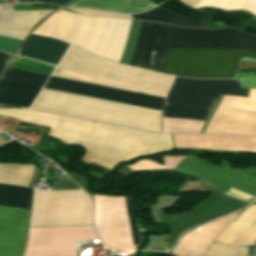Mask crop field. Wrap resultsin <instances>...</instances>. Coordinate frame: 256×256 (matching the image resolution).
<instances>
[{
	"label": "crop field",
	"mask_w": 256,
	"mask_h": 256,
	"mask_svg": "<svg viewBox=\"0 0 256 256\" xmlns=\"http://www.w3.org/2000/svg\"><path fill=\"white\" fill-rule=\"evenodd\" d=\"M0 115L52 127L48 135L67 145H83L87 153L82 161L89 165L95 162L111 170L119 163L139 155L173 150L169 134L126 129L21 109L0 108Z\"/></svg>",
	"instance_id": "obj_1"
},
{
	"label": "crop field",
	"mask_w": 256,
	"mask_h": 256,
	"mask_svg": "<svg viewBox=\"0 0 256 256\" xmlns=\"http://www.w3.org/2000/svg\"><path fill=\"white\" fill-rule=\"evenodd\" d=\"M170 28L167 24L142 21L128 65L160 72ZM167 48L256 49V36L230 28L172 26Z\"/></svg>",
	"instance_id": "obj_2"
},
{
	"label": "crop field",
	"mask_w": 256,
	"mask_h": 256,
	"mask_svg": "<svg viewBox=\"0 0 256 256\" xmlns=\"http://www.w3.org/2000/svg\"><path fill=\"white\" fill-rule=\"evenodd\" d=\"M53 75L138 93L142 91L144 94L163 98L175 78L122 66L87 54L73 46H70Z\"/></svg>",
	"instance_id": "obj_3"
},
{
	"label": "crop field",
	"mask_w": 256,
	"mask_h": 256,
	"mask_svg": "<svg viewBox=\"0 0 256 256\" xmlns=\"http://www.w3.org/2000/svg\"><path fill=\"white\" fill-rule=\"evenodd\" d=\"M73 13L61 9L45 20L33 33L65 41L118 62L131 20L83 17Z\"/></svg>",
	"instance_id": "obj_4"
},
{
	"label": "crop field",
	"mask_w": 256,
	"mask_h": 256,
	"mask_svg": "<svg viewBox=\"0 0 256 256\" xmlns=\"http://www.w3.org/2000/svg\"><path fill=\"white\" fill-rule=\"evenodd\" d=\"M30 108L151 131H160L161 112L42 89Z\"/></svg>",
	"instance_id": "obj_5"
},
{
	"label": "crop field",
	"mask_w": 256,
	"mask_h": 256,
	"mask_svg": "<svg viewBox=\"0 0 256 256\" xmlns=\"http://www.w3.org/2000/svg\"><path fill=\"white\" fill-rule=\"evenodd\" d=\"M239 58H256V50L167 49L161 72L192 78H232Z\"/></svg>",
	"instance_id": "obj_6"
},
{
	"label": "crop field",
	"mask_w": 256,
	"mask_h": 256,
	"mask_svg": "<svg viewBox=\"0 0 256 256\" xmlns=\"http://www.w3.org/2000/svg\"><path fill=\"white\" fill-rule=\"evenodd\" d=\"M91 223V200L83 191L34 190L29 226Z\"/></svg>",
	"instance_id": "obj_7"
},
{
	"label": "crop field",
	"mask_w": 256,
	"mask_h": 256,
	"mask_svg": "<svg viewBox=\"0 0 256 256\" xmlns=\"http://www.w3.org/2000/svg\"><path fill=\"white\" fill-rule=\"evenodd\" d=\"M220 94L248 97V89L238 80H193L177 77L166 99L168 102L211 108Z\"/></svg>",
	"instance_id": "obj_8"
},
{
	"label": "crop field",
	"mask_w": 256,
	"mask_h": 256,
	"mask_svg": "<svg viewBox=\"0 0 256 256\" xmlns=\"http://www.w3.org/2000/svg\"><path fill=\"white\" fill-rule=\"evenodd\" d=\"M190 156L175 170L201 176L222 193L231 187L256 196V168L230 169Z\"/></svg>",
	"instance_id": "obj_9"
},
{
	"label": "crop field",
	"mask_w": 256,
	"mask_h": 256,
	"mask_svg": "<svg viewBox=\"0 0 256 256\" xmlns=\"http://www.w3.org/2000/svg\"><path fill=\"white\" fill-rule=\"evenodd\" d=\"M256 241V199L215 240V244L254 246ZM212 244L205 256H245L247 247Z\"/></svg>",
	"instance_id": "obj_10"
},
{
	"label": "crop field",
	"mask_w": 256,
	"mask_h": 256,
	"mask_svg": "<svg viewBox=\"0 0 256 256\" xmlns=\"http://www.w3.org/2000/svg\"><path fill=\"white\" fill-rule=\"evenodd\" d=\"M45 89L57 90L161 111L162 98L50 77Z\"/></svg>",
	"instance_id": "obj_11"
},
{
	"label": "crop field",
	"mask_w": 256,
	"mask_h": 256,
	"mask_svg": "<svg viewBox=\"0 0 256 256\" xmlns=\"http://www.w3.org/2000/svg\"><path fill=\"white\" fill-rule=\"evenodd\" d=\"M30 210L0 206V256H22Z\"/></svg>",
	"instance_id": "obj_12"
},
{
	"label": "crop field",
	"mask_w": 256,
	"mask_h": 256,
	"mask_svg": "<svg viewBox=\"0 0 256 256\" xmlns=\"http://www.w3.org/2000/svg\"><path fill=\"white\" fill-rule=\"evenodd\" d=\"M51 12H14L12 5H0V35L22 40L38 21Z\"/></svg>",
	"instance_id": "obj_13"
},
{
	"label": "crop field",
	"mask_w": 256,
	"mask_h": 256,
	"mask_svg": "<svg viewBox=\"0 0 256 256\" xmlns=\"http://www.w3.org/2000/svg\"><path fill=\"white\" fill-rule=\"evenodd\" d=\"M68 46L62 41L31 34L19 53L57 64Z\"/></svg>",
	"instance_id": "obj_14"
},
{
	"label": "crop field",
	"mask_w": 256,
	"mask_h": 256,
	"mask_svg": "<svg viewBox=\"0 0 256 256\" xmlns=\"http://www.w3.org/2000/svg\"><path fill=\"white\" fill-rule=\"evenodd\" d=\"M156 6L150 0H75L68 7L98 8L122 13H137Z\"/></svg>",
	"instance_id": "obj_15"
},
{
	"label": "crop field",
	"mask_w": 256,
	"mask_h": 256,
	"mask_svg": "<svg viewBox=\"0 0 256 256\" xmlns=\"http://www.w3.org/2000/svg\"><path fill=\"white\" fill-rule=\"evenodd\" d=\"M39 90V87L0 80V102L29 107Z\"/></svg>",
	"instance_id": "obj_16"
},
{
	"label": "crop field",
	"mask_w": 256,
	"mask_h": 256,
	"mask_svg": "<svg viewBox=\"0 0 256 256\" xmlns=\"http://www.w3.org/2000/svg\"><path fill=\"white\" fill-rule=\"evenodd\" d=\"M134 19L158 21L173 25L186 26V27H199L204 28L205 23L194 20L187 16L173 14L169 11L155 8L149 12L137 15H131Z\"/></svg>",
	"instance_id": "obj_17"
},
{
	"label": "crop field",
	"mask_w": 256,
	"mask_h": 256,
	"mask_svg": "<svg viewBox=\"0 0 256 256\" xmlns=\"http://www.w3.org/2000/svg\"><path fill=\"white\" fill-rule=\"evenodd\" d=\"M32 189L0 184V205L30 209Z\"/></svg>",
	"instance_id": "obj_18"
},
{
	"label": "crop field",
	"mask_w": 256,
	"mask_h": 256,
	"mask_svg": "<svg viewBox=\"0 0 256 256\" xmlns=\"http://www.w3.org/2000/svg\"><path fill=\"white\" fill-rule=\"evenodd\" d=\"M32 171L33 165L0 164V183L28 187Z\"/></svg>",
	"instance_id": "obj_19"
},
{
	"label": "crop field",
	"mask_w": 256,
	"mask_h": 256,
	"mask_svg": "<svg viewBox=\"0 0 256 256\" xmlns=\"http://www.w3.org/2000/svg\"><path fill=\"white\" fill-rule=\"evenodd\" d=\"M210 109L165 102L163 116L205 120Z\"/></svg>",
	"instance_id": "obj_20"
},
{
	"label": "crop field",
	"mask_w": 256,
	"mask_h": 256,
	"mask_svg": "<svg viewBox=\"0 0 256 256\" xmlns=\"http://www.w3.org/2000/svg\"><path fill=\"white\" fill-rule=\"evenodd\" d=\"M208 6L224 10L243 9L256 16V0H199L195 5Z\"/></svg>",
	"instance_id": "obj_21"
},
{
	"label": "crop field",
	"mask_w": 256,
	"mask_h": 256,
	"mask_svg": "<svg viewBox=\"0 0 256 256\" xmlns=\"http://www.w3.org/2000/svg\"><path fill=\"white\" fill-rule=\"evenodd\" d=\"M48 75L9 68L2 79L42 87Z\"/></svg>",
	"instance_id": "obj_22"
},
{
	"label": "crop field",
	"mask_w": 256,
	"mask_h": 256,
	"mask_svg": "<svg viewBox=\"0 0 256 256\" xmlns=\"http://www.w3.org/2000/svg\"><path fill=\"white\" fill-rule=\"evenodd\" d=\"M11 67L28 70V71L39 72V73H45V74H49V75L54 68L51 66H47V65L35 62V61L21 59V58L15 59L11 65Z\"/></svg>",
	"instance_id": "obj_23"
},
{
	"label": "crop field",
	"mask_w": 256,
	"mask_h": 256,
	"mask_svg": "<svg viewBox=\"0 0 256 256\" xmlns=\"http://www.w3.org/2000/svg\"><path fill=\"white\" fill-rule=\"evenodd\" d=\"M125 201H126L130 247H136L139 241V236L137 234V230L134 222L131 197H125Z\"/></svg>",
	"instance_id": "obj_24"
},
{
	"label": "crop field",
	"mask_w": 256,
	"mask_h": 256,
	"mask_svg": "<svg viewBox=\"0 0 256 256\" xmlns=\"http://www.w3.org/2000/svg\"><path fill=\"white\" fill-rule=\"evenodd\" d=\"M75 12H78L84 16H107V17H119V18H128L131 19L128 15H122V14H115V13H109V12H103V11H97V10H87V9H70Z\"/></svg>",
	"instance_id": "obj_25"
},
{
	"label": "crop field",
	"mask_w": 256,
	"mask_h": 256,
	"mask_svg": "<svg viewBox=\"0 0 256 256\" xmlns=\"http://www.w3.org/2000/svg\"><path fill=\"white\" fill-rule=\"evenodd\" d=\"M20 40L5 38L0 36V50L13 54L20 44Z\"/></svg>",
	"instance_id": "obj_26"
},
{
	"label": "crop field",
	"mask_w": 256,
	"mask_h": 256,
	"mask_svg": "<svg viewBox=\"0 0 256 256\" xmlns=\"http://www.w3.org/2000/svg\"><path fill=\"white\" fill-rule=\"evenodd\" d=\"M223 194L233 197V198H236L238 200L247 202V203H250L255 198V196H252V195H249V194H246V193H243V192L231 189V188H229Z\"/></svg>",
	"instance_id": "obj_27"
},
{
	"label": "crop field",
	"mask_w": 256,
	"mask_h": 256,
	"mask_svg": "<svg viewBox=\"0 0 256 256\" xmlns=\"http://www.w3.org/2000/svg\"><path fill=\"white\" fill-rule=\"evenodd\" d=\"M69 0H28L25 3H45V4H54L62 5L67 3Z\"/></svg>",
	"instance_id": "obj_28"
},
{
	"label": "crop field",
	"mask_w": 256,
	"mask_h": 256,
	"mask_svg": "<svg viewBox=\"0 0 256 256\" xmlns=\"http://www.w3.org/2000/svg\"><path fill=\"white\" fill-rule=\"evenodd\" d=\"M10 59V56L3 53V52H0V74L1 72L3 71V69L5 68L6 64L8 63Z\"/></svg>",
	"instance_id": "obj_29"
},
{
	"label": "crop field",
	"mask_w": 256,
	"mask_h": 256,
	"mask_svg": "<svg viewBox=\"0 0 256 256\" xmlns=\"http://www.w3.org/2000/svg\"><path fill=\"white\" fill-rule=\"evenodd\" d=\"M179 1H181V2L184 3L185 5H187V6L191 7V8H193L194 5L197 3L198 0H179ZM184 4H183V5H184Z\"/></svg>",
	"instance_id": "obj_30"
},
{
	"label": "crop field",
	"mask_w": 256,
	"mask_h": 256,
	"mask_svg": "<svg viewBox=\"0 0 256 256\" xmlns=\"http://www.w3.org/2000/svg\"><path fill=\"white\" fill-rule=\"evenodd\" d=\"M1 132V131H0ZM6 144L3 140L0 139V146Z\"/></svg>",
	"instance_id": "obj_31"
}]
</instances>
